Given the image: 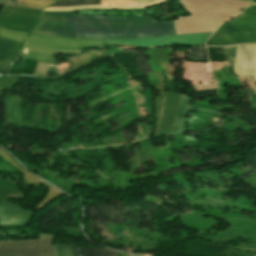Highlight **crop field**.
<instances>
[{
    "label": "crop field",
    "mask_w": 256,
    "mask_h": 256,
    "mask_svg": "<svg viewBox=\"0 0 256 256\" xmlns=\"http://www.w3.org/2000/svg\"><path fill=\"white\" fill-rule=\"evenodd\" d=\"M209 61L227 62L223 47H207Z\"/></svg>",
    "instance_id": "obj_13"
},
{
    "label": "crop field",
    "mask_w": 256,
    "mask_h": 256,
    "mask_svg": "<svg viewBox=\"0 0 256 256\" xmlns=\"http://www.w3.org/2000/svg\"><path fill=\"white\" fill-rule=\"evenodd\" d=\"M166 97H167V92H165L164 94V100H163V97L156 96V128H155L154 136H156L158 133L160 120L165 108ZM162 100H163V108H162ZM161 108H162V112H161Z\"/></svg>",
    "instance_id": "obj_14"
},
{
    "label": "crop field",
    "mask_w": 256,
    "mask_h": 256,
    "mask_svg": "<svg viewBox=\"0 0 256 256\" xmlns=\"http://www.w3.org/2000/svg\"><path fill=\"white\" fill-rule=\"evenodd\" d=\"M212 33H197L189 35H179L171 37L160 38H138V39H122V40H109L104 39L105 42L137 45V46H154V45H167V44H189V45H203L205 40Z\"/></svg>",
    "instance_id": "obj_5"
},
{
    "label": "crop field",
    "mask_w": 256,
    "mask_h": 256,
    "mask_svg": "<svg viewBox=\"0 0 256 256\" xmlns=\"http://www.w3.org/2000/svg\"><path fill=\"white\" fill-rule=\"evenodd\" d=\"M56 0H17V6L24 8L41 9L46 7Z\"/></svg>",
    "instance_id": "obj_12"
},
{
    "label": "crop field",
    "mask_w": 256,
    "mask_h": 256,
    "mask_svg": "<svg viewBox=\"0 0 256 256\" xmlns=\"http://www.w3.org/2000/svg\"><path fill=\"white\" fill-rule=\"evenodd\" d=\"M4 256H54L53 236L41 234L37 240L0 242Z\"/></svg>",
    "instance_id": "obj_4"
},
{
    "label": "crop field",
    "mask_w": 256,
    "mask_h": 256,
    "mask_svg": "<svg viewBox=\"0 0 256 256\" xmlns=\"http://www.w3.org/2000/svg\"><path fill=\"white\" fill-rule=\"evenodd\" d=\"M128 256H132V255H128Z\"/></svg>",
    "instance_id": "obj_20"
},
{
    "label": "crop field",
    "mask_w": 256,
    "mask_h": 256,
    "mask_svg": "<svg viewBox=\"0 0 256 256\" xmlns=\"http://www.w3.org/2000/svg\"><path fill=\"white\" fill-rule=\"evenodd\" d=\"M35 34L78 38H137L176 35L173 21H157L149 16L75 15L43 12Z\"/></svg>",
    "instance_id": "obj_1"
},
{
    "label": "crop field",
    "mask_w": 256,
    "mask_h": 256,
    "mask_svg": "<svg viewBox=\"0 0 256 256\" xmlns=\"http://www.w3.org/2000/svg\"><path fill=\"white\" fill-rule=\"evenodd\" d=\"M166 1H168V0H166Z\"/></svg>",
    "instance_id": "obj_21"
},
{
    "label": "crop field",
    "mask_w": 256,
    "mask_h": 256,
    "mask_svg": "<svg viewBox=\"0 0 256 256\" xmlns=\"http://www.w3.org/2000/svg\"><path fill=\"white\" fill-rule=\"evenodd\" d=\"M188 58L207 60L206 50L203 48L188 49Z\"/></svg>",
    "instance_id": "obj_17"
},
{
    "label": "crop field",
    "mask_w": 256,
    "mask_h": 256,
    "mask_svg": "<svg viewBox=\"0 0 256 256\" xmlns=\"http://www.w3.org/2000/svg\"><path fill=\"white\" fill-rule=\"evenodd\" d=\"M243 42H256V15L246 12L223 24L212 34L206 45Z\"/></svg>",
    "instance_id": "obj_3"
},
{
    "label": "crop field",
    "mask_w": 256,
    "mask_h": 256,
    "mask_svg": "<svg viewBox=\"0 0 256 256\" xmlns=\"http://www.w3.org/2000/svg\"><path fill=\"white\" fill-rule=\"evenodd\" d=\"M164 0H101L100 5H79L71 7H50L44 10L65 11L76 8H144Z\"/></svg>",
    "instance_id": "obj_7"
},
{
    "label": "crop field",
    "mask_w": 256,
    "mask_h": 256,
    "mask_svg": "<svg viewBox=\"0 0 256 256\" xmlns=\"http://www.w3.org/2000/svg\"><path fill=\"white\" fill-rule=\"evenodd\" d=\"M20 49L21 43L0 38V73L9 69L11 63L16 60Z\"/></svg>",
    "instance_id": "obj_9"
},
{
    "label": "crop field",
    "mask_w": 256,
    "mask_h": 256,
    "mask_svg": "<svg viewBox=\"0 0 256 256\" xmlns=\"http://www.w3.org/2000/svg\"><path fill=\"white\" fill-rule=\"evenodd\" d=\"M31 211L0 206V227L23 226L29 222Z\"/></svg>",
    "instance_id": "obj_8"
},
{
    "label": "crop field",
    "mask_w": 256,
    "mask_h": 256,
    "mask_svg": "<svg viewBox=\"0 0 256 256\" xmlns=\"http://www.w3.org/2000/svg\"><path fill=\"white\" fill-rule=\"evenodd\" d=\"M55 256H74L70 245L54 246Z\"/></svg>",
    "instance_id": "obj_18"
},
{
    "label": "crop field",
    "mask_w": 256,
    "mask_h": 256,
    "mask_svg": "<svg viewBox=\"0 0 256 256\" xmlns=\"http://www.w3.org/2000/svg\"><path fill=\"white\" fill-rule=\"evenodd\" d=\"M190 109V99L184 95L180 96L179 107L176 112L173 128L170 134H182L186 129V114Z\"/></svg>",
    "instance_id": "obj_10"
},
{
    "label": "crop field",
    "mask_w": 256,
    "mask_h": 256,
    "mask_svg": "<svg viewBox=\"0 0 256 256\" xmlns=\"http://www.w3.org/2000/svg\"><path fill=\"white\" fill-rule=\"evenodd\" d=\"M224 49L236 74L235 46L224 47ZM236 60L237 74H252L253 78L256 79V46L236 47Z\"/></svg>",
    "instance_id": "obj_6"
},
{
    "label": "crop field",
    "mask_w": 256,
    "mask_h": 256,
    "mask_svg": "<svg viewBox=\"0 0 256 256\" xmlns=\"http://www.w3.org/2000/svg\"><path fill=\"white\" fill-rule=\"evenodd\" d=\"M138 255H141V256H150V255H146V254H138Z\"/></svg>",
    "instance_id": "obj_19"
},
{
    "label": "crop field",
    "mask_w": 256,
    "mask_h": 256,
    "mask_svg": "<svg viewBox=\"0 0 256 256\" xmlns=\"http://www.w3.org/2000/svg\"><path fill=\"white\" fill-rule=\"evenodd\" d=\"M73 246L75 256H118L115 251L100 250L88 247Z\"/></svg>",
    "instance_id": "obj_11"
},
{
    "label": "crop field",
    "mask_w": 256,
    "mask_h": 256,
    "mask_svg": "<svg viewBox=\"0 0 256 256\" xmlns=\"http://www.w3.org/2000/svg\"><path fill=\"white\" fill-rule=\"evenodd\" d=\"M84 47H104V42L94 39H64L31 35L24 42L22 57L34 60H56L55 52L79 53Z\"/></svg>",
    "instance_id": "obj_2"
},
{
    "label": "crop field",
    "mask_w": 256,
    "mask_h": 256,
    "mask_svg": "<svg viewBox=\"0 0 256 256\" xmlns=\"http://www.w3.org/2000/svg\"><path fill=\"white\" fill-rule=\"evenodd\" d=\"M78 4H99V0H60L53 6H69Z\"/></svg>",
    "instance_id": "obj_16"
},
{
    "label": "crop field",
    "mask_w": 256,
    "mask_h": 256,
    "mask_svg": "<svg viewBox=\"0 0 256 256\" xmlns=\"http://www.w3.org/2000/svg\"><path fill=\"white\" fill-rule=\"evenodd\" d=\"M28 34L0 29V37L22 42Z\"/></svg>",
    "instance_id": "obj_15"
}]
</instances>
